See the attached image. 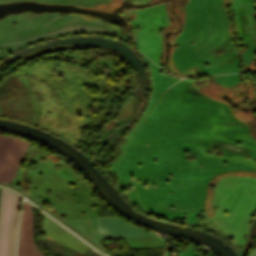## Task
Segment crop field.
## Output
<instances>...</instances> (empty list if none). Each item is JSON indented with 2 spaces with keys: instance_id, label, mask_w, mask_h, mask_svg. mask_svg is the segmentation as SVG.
<instances>
[{
  "instance_id": "crop-field-2",
  "label": "crop field",
  "mask_w": 256,
  "mask_h": 256,
  "mask_svg": "<svg viewBox=\"0 0 256 256\" xmlns=\"http://www.w3.org/2000/svg\"><path fill=\"white\" fill-rule=\"evenodd\" d=\"M29 143L6 136L0 148V181H11L25 154Z\"/></svg>"
},
{
  "instance_id": "crop-field-1",
  "label": "crop field",
  "mask_w": 256,
  "mask_h": 256,
  "mask_svg": "<svg viewBox=\"0 0 256 256\" xmlns=\"http://www.w3.org/2000/svg\"><path fill=\"white\" fill-rule=\"evenodd\" d=\"M3 189L0 188V213ZM20 198L6 190L3 193L0 222V256H15Z\"/></svg>"
},
{
  "instance_id": "crop-field-3",
  "label": "crop field",
  "mask_w": 256,
  "mask_h": 256,
  "mask_svg": "<svg viewBox=\"0 0 256 256\" xmlns=\"http://www.w3.org/2000/svg\"><path fill=\"white\" fill-rule=\"evenodd\" d=\"M149 235H155V234L142 230L117 217L99 218L100 240L120 238V237L149 236Z\"/></svg>"
},
{
  "instance_id": "crop-field-5",
  "label": "crop field",
  "mask_w": 256,
  "mask_h": 256,
  "mask_svg": "<svg viewBox=\"0 0 256 256\" xmlns=\"http://www.w3.org/2000/svg\"><path fill=\"white\" fill-rule=\"evenodd\" d=\"M4 137H5V136L0 135V145H1V143H2V141H3V139H4Z\"/></svg>"
},
{
  "instance_id": "crop-field-4",
  "label": "crop field",
  "mask_w": 256,
  "mask_h": 256,
  "mask_svg": "<svg viewBox=\"0 0 256 256\" xmlns=\"http://www.w3.org/2000/svg\"><path fill=\"white\" fill-rule=\"evenodd\" d=\"M17 256H43L35 247L30 205L24 202L21 215Z\"/></svg>"
}]
</instances>
